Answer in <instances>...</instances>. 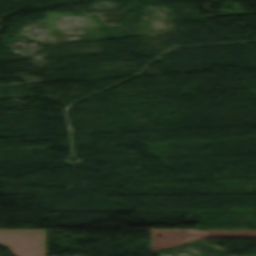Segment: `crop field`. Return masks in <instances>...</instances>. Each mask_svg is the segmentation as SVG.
I'll return each mask as SVG.
<instances>
[{"instance_id": "8a807250", "label": "crop field", "mask_w": 256, "mask_h": 256, "mask_svg": "<svg viewBox=\"0 0 256 256\" xmlns=\"http://www.w3.org/2000/svg\"><path fill=\"white\" fill-rule=\"evenodd\" d=\"M45 229H0V244L14 256H45Z\"/></svg>"}]
</instances>
